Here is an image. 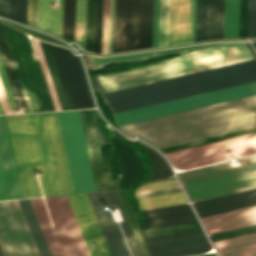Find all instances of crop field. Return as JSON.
<instances>
[{"instance_id":"obj_45","label":"crop field","mask_w":256,"mask_h":256,"mask_svg":"<svg viewBox=\"0 0 256 256\" xmlns=\"http://www.w3.org/2000/svg\"><path fill=\"white\" fill-rule=\"evenodd\" d=\"M248 1L249 0H241V3H240L239 38H247Z\"/></svg>"},{"instance_id":"obj_6","label":"crop field","mask_w":256,"mask_h":256,"mask_svg":"<svg viewBox=\"0 0 256 256\" xmlns=\"http://www.w3.org/2000/svg\"><path fill=\"white\" fill-rule=\"evenodd\" d=\"M2 27L29 111L55 110L40 65L35 64L28 36L5 24Z\"/></svg>"},{"instance_id":"obj_53","label":"crop field","mask_w":256,"mask_h":256,"mask_svg":"<svg viewBox=\"0 0 256 256\" xmlns=\"http://www.w3.org/2000/svg\"><path fill=\"white\" fill-rule=\"evenodd\" d=\"M8 6H9V0H0V15L1 16L8 18Z\"/></svg>"},{"instance_id":"obj_49","label":"crop field","mask_w":256,"mask_h":256,"mask_svg":"<svg viewBox=\"0 0 256 256\" xmlns=\"http://www.w3.org/2000/svg\"><path fill=\"white\" fill-rule=\"evenodd\" d=\"M37 0L28 2V24L36 27Z\"/></svg>"},{"instance_id":"obj_35","label":"crop field","mask_w":256,"mask_h":256,"mask_svg":"<svg viewBox=\"0 0 256 256\" xmlns=\"http://www.w3.org/2000/svg\"><path fill=\"white\" fill-rule=\"evenodd\" d=\"M145 146V145H144ZM152 158V165H153V172L150 180L165 178L167 176L173 175L170 169L168 168L164 158L160 156L157 152L153 149L145 146ZM149 180V181H150Z\"/></svg>"},{"instance_id":"obj_34","label":"crop field","mask_w":256,"mask_h":256,"mask_svg":"<svg viewBox=\"0 0 256 256\" xmlns=\"http://www.w3.org/2000/svg\"><path fill=\"white\" fill-rule=\"evenodd\" d=\"M75 0H64L63 37L74 39Z\"/></svg>"},{"instance_id":"obj_13","label":"crop field","mask_w":256,"mask_h":256,"mask_svg":"<svg viewBox=\"0 0 256 256\" xmlns=\"http://www.w3.org/2000/svg\"><path fill=\"white\" fill-rule=\"evenodd\" d=\"M50 45L72 109L93 107L78 58L63 47Z\"/></svg>"},{"instance_id":"obj_18","label":"crop field","mask_w":256,"mask_h":256,"mask_svg":"<svg viewBox=\"0 0 256 256\" xmlns=\"http://www.w3.org/2000/svg\"><path fill=\"white\" fill-rule=\"evenodd\" d=\"M228 44H232V43H210V44H204V45L144 52V53H137V54H130V55L105 57V58H94L90 56V58H91L93 70L96 71V70H100L105 67H108L110 65L141 61V60L156 58V57H160V56H164L172 53H179L181 55H184V54L206 50V49L228 45Z\"/></svg>"},{"instance_id":"obj_19","label":"crop field","mask_w":256,"mask_h":256,"mask_svg":"<svg viewBox=\"0 0 256 256\" xmlns=\"http://www.w3.org/2000/svg\"><path fill=\"white\" fill-rule=\"evenodd\" d=\"M201 221L206 230L220 227L221 231L256 224V206L203 218Z\"/></svg>"},{"instance_id":"obj_16","label":"crop field","mask_w":256,"mask_h":256,"mask_svg":"<svg viewBox=\"0 0 256 256\" xmlns=\"http://www.w3.org/2000/svg\"><path fill=\"white\" fill-rule=\"evenodd\" d=\"M199 218L256 205V189L192 203Z\"/></svg>"},{"instance_id":"obj_40","label":"crop field","mask_w":256,"mask_h":256,"mask_svg":"<svg viewBox=\"0 0 256 256\" xmlns=\"http://www.w3.org/2000/svg\"><path fill=\"white\" fill-rule=\"evenodd\" d=\"M118 192H119L120 197H121V199H122L123 205H124V207H125V210H126V212H127L128 217H129L130 223H131L132 228H133V230H134V233H135V235H136V238H137V241H138L139 246H140V248H141V251H142V253H143V256H149V254H148V252H147V249H146V247H145V245H144V242H143V240H142V237H141V235H140V233H139V231H138V229H137V227H136V223H135V220H134V218H133V215H132V212H131V210H130V207H129V205H128V202H127V200H126L125 194H124L123 190H120V191H118Z\"/></svg>"},{"instance_id":"obj_12","label":"crop field","mask_w":256,"mask_h":256,"mask_svg":"<svg viewBox=\"0 0 256 256\" xmlns=\"http://www.w3.org/2000/svg\"><path fill=\"white\" fill-rule=\"evenodd\" d=\"M96 191L114 189L106 171L100 146H107L104 132L94 111H78Z\"/></svg>"},{"instance_id":"obj_58","label":"crop field","mask_w":256,"mask_h":256,"mask_svg":"<svg viewBox=\"0 0 256 256\" xmlns=\"http://www.w3.org/2000/svg\"><path fill=\"white\" fill-rule=\"evenodd\" d=\"M201 256H215V254H206V255H201Z\"/></svg>"},{"instance_id":"obj_50","label":"crop field","mask_w":256,"mask_h":256,"mask_svg":"<svg viewBox=\"0 0 256 256\" xmlns=\"http://www.w3.org/2000/svg\"><path fill=\"white\" fill-rule=\"evenodd\" d=\"M159 0H154L153 47H157Z\"/></svg>"},{"instance_id":"obj_7","label":"crop field","mask_w":256,"mask_h":256,"mask_svg":"<svg viewBox=\"0 0 256 256\" xmlns=\"http://www.w3.org/2000/svg\"><path fill=\"white\" fill-rule=\"evenodd\" d=\"M153 0H117L115 52L152 47Z\"/></svg>"},{"instance_id":"obj_21","label":"crop field","mask_w":256,"mask_h":256,"mask_svg":"<svg viewBox=\"0 0 256 256\" xmlns=\"http://www.w3.org/2000/svg\"><path fill=\"white\" fill-rule=\"evenodd\" d=\"M51 3L56 0H38L37 28L62 37L63 0H59V9H50Z\"/></svg>"},{"instance_id":"obj_25","label":"crop field","mask_w":256,"mask_h":256,"mask_svg":"<svg viewBox=\"0 0 256 256\" xmlns=\"http://www.w3.org/2000/svg\"><path fill=\"white\" fill-rule=\"evenodd\" d=\"M18 201L20 203L40 256H51L30 200L23 199Z\"/></svg>"},{"instance_id":"obj_23","label":"crop field","mask_w":256,"mask_h":256,"mask_svg":"<svg viewBox=\"0 0 256 256\" xmlns=\"http://www.w3.org/2000/svg\"><path fill=\"white\" fill-rule=\"evenodd\" d=\"M0 54L4 63V67L13 91V95L18 108L25 107L26 111H28L24 95L14 68V64L5 40V36L0 24Z\"/></svg>"},{"instance_id":"obj_9","label":"crop field","mask_w":256,"mask_h":256,"mask_svg":"<svg viewBox=\"0 0 256 256\" xmlns=\"http://www.w3.org/2000/svg\"><path fill=\"white\" fill-rule=\"evenodd\" d=\"M256 153V134L167 153L173 167L190 169Z\"/></svg>"},{"instance_id":"obj_24","label":"crop field","mask_w":256,"mask_h":256,"mask_svg":"<svg viewBox=\"0 0 256 256\" xmlns=\"http://www.w3.org/2000/svg\"><path fill=\"white\" fill-rule=\"evenodd\" d=\"M225 0H207L206 40L223 39Z\"/></svg>"},{"instance_id":"obj_39","label":"crop field","mask_w":256,"mask_h":256,"mask_svg":"<svg viewBox=\"0 0 256 256\" xmlns=\"http://www.w3.org/2000/svg\"><path fill=\"white\" fill-rule=\"evenodd\" d=\"M28 0H10V19L27 24Z\"/></svg>"},{"instance_id":"obj_20","label":"crop field","mask_w":256,"mask_h":256,"mask_svg":"<svg viewBox=\"0 0 256 256\" xmlns=\"http://www.w3.org/2000/svg\"><path fill=\"white\" fill-rule=\"evenodd\" d=\"M113 138V137H112ZM117 158L121 164L125 188L132 185L142 175L143 166L140 158L124 142L113 138Z\"/></svg>"},{"instance_id":"obj_46","label":"crop field","mask_w":256,"mask_h":256,"mask_svg":"<svg viewBox=\"0 0 256 256\" xmlns=\"http://www.w3.org/2000/svg\"><path fill=\"white\" fill-rule=\"evenodd\" d=\"M256 37V0L249 2L248 38Z\"/></svg>"},{"instance_id":"obj_36","label":"crop field","mask_w":256,"mask_h":256,"mask_svg":"<svg viewBox=\"0 0 256 256\" xmlns=\"http://www.w3.org/2000/svg\"><path fill=\"white\" fill-rule=\"evenodd\" d=\"M193 221H198V220H197L196 216L194 215V213H190V214H184V215H178V216H172V217H166V218L145 221L144 229L178 224V223L193 222Z\"/></svg>"},{"instance_id":"obj_17","label":"crop field","mask_w":256,"mask_h":256,"mask_svg":"<svg viewBox=\"0 0 256 256\" xmlns=\"http://www.w3.org/2000/svg\"><path fill=\"white\" fill-rule=\"evenodd\" d=\"M192 0H170L168 45L190 42Z\"/></svg>"},{"instance_id":"obj_51","label":"crop field","mask_w":256,"mask_h":256,"mask_svg":"<svg viewBox=\"0 0 256 256\" xmlns=\"http://www.w3.org/2000/svg\"><path fill=\"white\" fill-rule=\"evenodd\" d=\"M0 102H1L4 112H7V114L12 113L9 103H8V100H7V97H6V94H5V91H4V88H3V85H2V82H1V79H0Z\"/></svg>"},{"instance_id":"obj_2","label":"crop field","mask_w":256,"mask_h":256,"mask_svg":"<svg viewBox=\"0 0 256 256\" xmlns=\"http://www.w3.org/2000/svg\"><path fill=\"white\" fill-rule=\"evenodd\" d=\"M256 95V82L115 114L119 126ZM256 126V96L122 126L161 148Z\"/></svg>"},{"instance_id":"obj_52","label":"crop field","mask_w":256,"mask_h":256,"mask_svg":"<svg viewBox=\"0 0 256 256\" xmlns=\"http://www.w3.org/2000/svg\"><path fill=\"white\" fill-rule=\"evenodd\" d=\"M179 191H182L181 188H177V189L171 188V189H165V190H160V191H154V192H148V193H143V194H137L136 197L137 198H141V197L154 196V195L173 193V192H179Z\"/></svg>"},{"instance_id":"obj_32","label":"crop field","mask_w":256,"mask_h":256,"mask_svg":"<svg viewBox=\"0 0 256 256\" xmlns=\"http://www.w3.org/2000/svg\"><path fill=\"white\" fill-rule=\"evenodd\" d=\"M199 229H201V227L198 224V222H194V223L181 224L177 226L147 229V230H142L141 232L143 237L147 238V237L180 233V232L193 231V230H199Z\"/></svg>"},{"instance_id":"obj_15","label":"crop field","mask_w":256,"mask_h":256,"mask_svg":"<svg viewBox=\"0 0 256 256\" xmlns=\"http://www.w3.org/2000/svg\"><path fill=\"white\" fill-rule=\"evenodd\" d=\"M67 197L91 256H110L87 195Z\"/></svg>"},{"instance_id":"obj_11","label":"crop field","mask_w":256,"mask_h":256,"mask_svg":"<svg viewBox=\"0 0 256 256\" xmlns=\"http://www.w3.org/2000/svg\"><path fill=\"white\" fill-rule=\"evenodd\" d=\"M0 250L3 256H39L17 200L0 202Z\"/></svg>"},{"instance_id":"obj_59","label":"crop field","mask_w":256,"mask_h":256,"mask_svg":"<svg viewBox=\"0 0 256 256\" xmlns=\"http://www.w3.org/2000/svg\"><path fill=\"white\" fill-rule=\"evenodd\" d=\"M0 114H3V113H2V110H1V107H0Z\"/></svg>"},{"instance_id":"obj_22","label":"crop field","mask_w":256,"mask_h":256,"mask_svg":"<svg viewBox=\"0 0 256 256\" xmlns=\"http://www.w3.org/2000/svg\"><path fill=\"white\" fill-rule=\"evenodd\" d=\"M220 256H256V233L214 243Z\"/></svg>"},{"instance_id":"obj_29","label":"crop field","mask_w":256,"mask_h":256,"mask_svg":"<svg viewBox=\"0 0 256 256\" xmlns=\"http://www.w3.org/2000/svg\"><path fill=\"white\" fill-rule=\"evenodd\" d=\"M251 133H256V127L244 129V130H240V131H236V132H231V133H227V134H222V135H218V136H214V137H209V138H205V139H200V140H196V141H192V142H187V143H183V144H178V145H174V146H170V147H165V148H161L160 150H162L164 153H167V152L185 149V148H189V147H193V146H198V145L216 142V141H220V140H225V139H229V138H233V137L247 135V134H251Z\"/></svg>"},{"instance_id":"obj_56","label":"crop field","mask_w":256,"mask_h":256,"mask_svg":"<svg viewBox=\"0 0 256 256\" xmlns=\"http://www.w3.org/2000/svg\"><path fill=\"white\" fill-rule=\"evenodd\" d=\"M115 17H116V0H114V18H113V42H112V53L114 52V41H115Z\"/></svg>"},{"instance_id":"obj_33","label":"crop field","mask_w":256,"mask_h":256,"mask_svg":"<svg viewBox=\"0 0 256 256\" xmlns=\"http://www.w3.org/2000/svg\"><path fill=\"white\" fill-rule=\"evenodd\" d=\"M86 0H76L75 39L84 49Z\"/></svg>"},{"instance_id":"obj_41","label":"crop field","mask_w":256,"mask_h":256,"mask_svg":"<svg viewBox=\"0 0 256 256\" xmlns=\"http://www.w3.org/2000/svg\"><path fill=\"white\" fill-rule=\"evenodd\" d=\"M33 42L35 44L38 56H39L40 61H41V64L45 65V68H46V71H43V72H44V75H45V78H46V81H47V84H48V87H49V91H50V94H51V97H52L55 109L56 110H61L60 106H59V103H58V100H57V97H56V94H55V91H54V88H53V85H52V82H51V79H50V75H49V72H48V69H47V66H46V63H45V60H44V57H43L40 45H39V42L36 39H33ZM45 68H44V66H42L43 70H45Z\"/></svg>"},{"instance_id":"obj_47","label":"crop field","mask_w":256,"mask_h":256,"mask_svg":"<svg viewBox=\"0 0 256 256\" xmlns=\"http://www.w3.org/2000/svg\"><path fill=\"white\" fill-rule=\"evenodd\" d=\"M178 185L179 184H178L177 180L162 182V183H156V184H150V185H144V186H141V187L137 188L135 190V193L157 190V189L170 188V187H176Z\"/></svg>"},{"instance_id":"obj_42","label":"crop field","mask_w":256,"mask_h":256,"mask_svg":"<svg viewBox=\"0 0 256 256\" xmlns=\"http://www.w3.org/2000/svg\"><path fill=\"white\" fill-rule=\"evenodd\" d=\"M103 0H97L95 53L101 54Z\"/></svg>"},{"instance_id":"obj_28","label":"crop field","mask_w":256,"mask_h":256,"mask_svg":"<svg viewBox=\"0 0 256 256\" xmlns=\"http://www.w3.org/2000/svg\"><path fill=\"white\" fill-rule=\"evenodd\" d=\"M240 0H226L224 38L238 37Z\"/></svg>"},{"instance_id":"obj_57","label":"crop field","mask_w":256,"mask_h":256,"mask_svg":"<svg viewBox=\"0 0 256 256\" xmlns=\"http://www.w3.org/2000/svg\"><path fill=\"white\" fill-rule=\"evenodd\" d=\"M118 182H119V187H120V189L124 188V187H123V183H122L121 175H118Z\"/></svg>"},{"instance_id":"obj_48","label":"crop field","mask_w":256,"mask_h":256,"mask_svg":"<svg viewBox=\"0 0 256 256\" xmlns=\"http://www.w3.org/2000/svg\"><path fill=\"white\" fill-rule=\"evenodd\" d=\"M0 75H1L4 87H5L9 102H10L11 109L17 108L14 98H13V95H12V92H11V89H10V86H9V83H8V80H7V77H6V74H5V71H4V68H3V65H2V62H1V59H0Z\"/></svg>"},{"instance_id":"obj_37","label":"crop field","mask_w":256,"mask_h":256,"mask_svg":"<svg viewBox=\"0 0 256 256\" xmlns=\"http://www.w3.org/2000/svg\"><path fill=\"white\" fill-rule=\"evenodd\" d=\"M169 0H160L158 46L167 45Z\"/></svg>"},{"instance_id":"obj_30","label":"crop field","mask_w":256,"mask_h":256,"mask_svg":"<svg viewBox=\"0 0 256 256\" xmlns=\"http://www.w3.org/2000/svg\"><path fill=\"white\" fill-rule=\"evenodd\" d=\"M96 0H87L85 50L94 53Z\"/></svg>"},{"instance_id":"obj_8","label":"crop field","mask_w":256,"mask_h":256,"mask_svg":"<svg viewBox=\"0 0 256 256\" xmlns=\"http://www.w3.org/2000/svg\"><path fill=\"white\" fill-rule=\"evenodd\" d=\"M92 208L102 230L103 236L111 253V256H130L121 231L117 223H113L107 208L119 207L124 222L119 223L132 256H142L133 230L127 218L126 212L120 200L117 190L103 191L87 194Z\"/></svg>"},{"instance_id":"obj_1","label":"crop field","mask_w":256,"mask_h":256,"mask_svg":"<svg viewBox=\"0 0 256 256\" xmlns=\"http://www.w3.org/2000/svg\"><path fill=\"white\" fill-rule=\"evenodd\" d=\"M255 61L247 48V46ZM236 43L192 53L159 63L100 76L95 75L99 91L114 113L174 100L208 91L256 81V55L248 42Z\"/></svg>"},{"instance_id":"obj_27","label":"crop field","mask_w":256,"mask_h":256,"mask_svg":"<svg viewBox=\"0 0 256 256\" xmlns=\"http://www.w3.org/2000/svg\"><path fill=\"white\" fill-rule=\"evenodd\" d=\"M141 210L187 203L183 192L138 199Z\"/></svg>"},{"instance_id":"obj_14","label":"crop field","mask_w":256,"mask_h":256,"mask_svg":"<svg viewBox=\"0 0 256 256\" xmlns=\"http://www.w3.org/2000/svg\"><path fill=\"white\" fill-rule=\"evenodd\" d=\"M144 240L151 256H188L211 248L203 230Z\"/></svg>"},{"instance_id":"obj_26","label":"crop field","mask_w":256,"mask_h":256,"mask_svg":"<svg viewBox=\"0 0 256 256\" xmlns=\"http://www.w3.org/2000/svg\"><path fill=\"white\" fill-rule=\"evenodd\" d=\"M62 110L71 109L49 44L40 42Z\"/></svg>"},{"instance_id":"obj_44","label":"crop field","mask_w":256,"mask_h":256,"mask_svg":"<svg viewBox=\"0 0 256 256\" xmlns=\"http://www.w3.org/2000/svg\"><path fill=\"white\" fill-rule=\"evenodd\" d=\"M253 232H256V225L241 228V229H236L228 232H223L215 235H210V238L212 242H215V241L228 239V238H232L240 235H245Z\"/></svg>"},{"instance_id":"obj_5","label":"crop field","mask_w":256,"mask_h":256,"mask_svg":"<svg viewBox=\"0 0 256 256\" xmlns=\"http://www.w3.org/2000/svg\"><path fill=\"white\" fill-rule=\"evenodd\" d=\"M54 230L60 236H52V229L41 198L30 199L48 243L52 256H90L68 199L66 196L44 198Z\"/></svg>"},{"instance_id":"obj_3","label":"crop field","mask_w":256,"mask_h":256,"mask_svg":"<svg viewBox=\"0 0 256 256\" xmlns=\"http://www.w3.org/2000/svg\"><path fill=\"white\" fill-rule=\"evenodd\" d=\"M24 198L75 193L56 112L5 116ZM22 197L6 123L0 116V201Z\"/></svg>"},{"instance_id":"obj_55","label":"crop field","mask_w":256,"mask_h":256,"mask_svg":"<svg viewBox=\"0 0 256 256\" xmlns=\"http://www.w3.org/2000/svg\"><path fill=\"white\" fill-rule=\"evenodd\" d=\"M112 17H113V0H111V18H110V42H109V53H111V41H112Z\"/></svg>"},{"instance_id":"obj_38","label":"crop field","mask_w":256,"mask_h":256,"mask_svg":"<svg viewBox=\"0 0 256 256\" xmlns=\"http://www.w3.org/2000/svg\"><path fill=\"white\" fill-rule=\"evenodd\" d=\"M206 0H197L195 42L205 40Z\"/></svg>"},{"instance_id":"obj_43","label":"crop field","mask_w":256,"mask_h":256,"mask_svg":"<svg viewBox=\"0 0 256 256\" xmlns=\"http://www.w3.org/2000/svg\"><path fill=\"white\" fill-rule=\"evenodd\" d=\"M110 0H104L102 54L108 53Z\"/></svg>"},{"instance_id":"obj_4","label":"crop field","mask_w":256,"mask_h":256,"mask_svg":"<svg viewBox=\"0 0 256 256\" xmlns=\"http://www.w3.org/2000/svg\"><path fill=\"white\" fill-rule=\"evenodd\" d=\"M243 166L233 168L231 163L213 165L195 170L178 173L182 184L202 179L216 177L224 174L238 172L256 167V156L240 159ZM191 202L251 189L256 187V168L224 175L216 178L202 180L183 185Z\"/></svg>"},{"instance_id":"obj_10","label":"crop field","mask_w":256,"mask_h":256,"mask_svg":"<svg viewBox=\"0 0 256 256\" xmlns=\"http://www.w3.org/2000/svg\"><path fill=\"white\" fill-rule=\"evenodd\" d=\"M76 193L95 191L77 111L57 112Z\"/></svg>"},{"instance_id":"obj_31","label":"crop field","mask_w":256,"mask_h":256,"mask_svg":"<svg viewBox=\"0 0 256 256\" xmlns=\"http://www.w3.org/2000/svg\"><path fill=\"white\" fill-rule=\"evenodd\" d=\"M145 220L193 212L190 205H176L141 211Z\"/></svg>"},{"instance_id":"obj_54","label":"crop field","mask_w":256,"mask_h":256,"mask_svg":"<svg viewBox=\"0 0 256 256\" xmlns=\"http://www.w3.org/2000/svg\"><path fill=\"white\" fill-rule=\"evenodd\" d=\"M196 0H193L191 42H194Z\"/></svg>"}]
</instances>
